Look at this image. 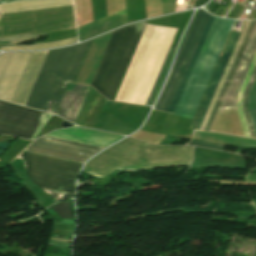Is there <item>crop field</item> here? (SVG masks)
I'll list each match as a JSON object with an SVG mask.
<instances>
[{"label": "crop field", "instance_id": "8a807250", "mask_svg": "<svg viewBox=\"0 0 256 256\" xmlns=\"http://www.w3.org/2000/svg\"><path fill=\"white\" fill-rule=\"evenodd\" d=\"M90 41L49 52L0 55V99L54 113L67 82L72 83Z\"/></svg>", "mask_w": 256, "mask_h": 256}, {"label": "crop field", "instance_id": "ac0d7876", "mask_svg": "<svg viewBox=\"0 0 256 256\" xmlns=\"http://www.w3.org/2000/svg\"><path fill=\"white\" fill-rule=\"evenodd\" d=\"M191 159L192 148L189 146H156L127 138L92 158L84 169L101 176L118 165L155 168L189 165ZM84 169L83 171L99 178ZM116 169L130 171L144 168L118 166L102 177L108 176Z\"/></svg>", "mask_w": 256, "mask_h": 256}, {"label": "crop field", "instance_id": "34b2d1b8", "mask_svg": "<svg viewBox=\"0 0 256 256\" xmlns=\"http://www.w3.org/2000/svg\"><path fill=\"white\" fill-rule=\"evenodd\" d=\"M176 30L146 26L115 100L145 104Z\"/></svg>", "mask_w": 256, "mask_h": 256}, {"label": "crop field", "instance_id": "412701ff", "mask_svg": "<svg viewBox=\"0 0 256 256\" xmlns=\"http://www.w3.org/2000/svg\"><path fill=\"white\" fill-rule=\"evenodd\" d=\"M234 21L215 18L174 115L192 118Z\"/></svg>", "mask_w": 256, "mask_h": 256}, {"label": "crop field", "instance_id": "f4fd0767", "mask_svg": "<svg viewBox=\"0 0 256 256\" xmlns=\"http://www.w3.org/2000/svg\"><path fill=\"white\" fill-rule=\"evenodd\" d=\"M147 21L115 31L91 84L113 100Z\"/></svg>", "mask_w": 256, "mask_h": 256}, {"label": "crop field", "instance_id": "dd49c442", "mask_svg": "<svg viewBox=\"0 0 256 256\" xmlns=\"http://www.w3.org/2000/svg\"><path fill=\"white\" fill-rule=\"evenodd\" d=\"M204 12H203V10H198L196 15H195V18L192 22L190 30L187 34V37L184 41V44L181 48V51L178 55V58H177L176 62H175L173 70H172V72L170 74V77L167 81V84H166V86H165V88H164L156 106H155V108H157V109H162V110L168 111L171 104H172V101H173V99L176 95V92L179 88V85H180V83L183 79V76H184V74L187 70V67H188V65L191 61V58H192V56L195 52V49H196V47L199 43V40L202 36V33H203V31L206 27V24H207V22L210 18V16L205 14ZM214 18L215 17L211 15V18H210V20L207 24V27H206V29L203 33V36L200 40V43H199V45L196 49V52H195V54L192 58V61L189 65L188 70H187V72L184 76V79H183V81L180 85V88L177 92V95H176V97L173 101V104H172V106L169 110V112H171V113H173L175 108H176V105L179 101V98H180L182 92H183V89L186 85V82L189 78V75L192 71V68H193L195 62H196V59L199 55V52L202 48V45L205 41V38H206V36L209 32V29L212 25V22H213Z\"/></svg>", "mask_w": 256, "mask_h": 256}, {"label": "crop field", "instance_id": "e52e79f7", "mask_svg": "<svg viewBox=\"0 0 256 256\" xmlns=\"http://www.w3.org/2000/svg\"><path fill=\"white\" fill-rule=\"evenodd\" d=\"M28 178L53 195L66 199L74 194L80 164L22 152Z\"/></svg>", "mask_w": 256, "mask_h": 256}, {"label": "crop field", "instance_id": "d8731c3e", "mask_svg": "<svg viewBox=\"0 0 256 256\" xmlns=\"http://www.w3.org/2000/svg\"><path fill=\"white\" fill-rule=\"evenodd\" d=\"M76 28L73 7L0 17V38Z\"/></svg>", "mask_w": 256, "mask_h": 256}, {"label": "crop field", "instance_id": "5a996713", "mask_svg": "<svg viewBox=\"0 0 256 256\" xmlns=\"http://www.w3.org/2000/svg\"><path fill=\"white\" fill-rule=\"evenodd\" d=\"M51 115L0 102V134L34 139Z\"/></svg>", "mask_w": 256, "mask_h": 256}, {"label": "crop field", "instance_id": "3316defc", "mask_svg": "<svg viewBox=\"0 0 256 256\" xmlns=\"http://www.w3.org/2000/svg\"><path fill=\"white\" fill-rule=\"evenodd\" d=\"M68 142L70 141L44 136L39 140H37L35 143L32 142L33 144L31 143L32 145L30 144L31 146L29 145L30 147L28 146L29 148H27L25 151L83 163L89 156L95 154L102 148V147L97 148V147L75 143V144L90 147L88 149L87 147L71 144L74 142H71V143H68ZM65 146L67 149L78 150L83 152H86L88 149V151L86 153H83L78 151L67 150V149H64Z\"/></svg>", "mask_w": 256, "mask_h": 256}, {"label": "crop field", "instance_id": "28ad6ade", "mask_svg": "<svg viewBox=\"0 0 256 256\" xmlns=\"http://www.w3.org/2000/svg\"><path fill=\"white\" fill-rule=\"evenodd\" d=\"M239 35L240 34H238V33H234V32L231 33V35L229 37V40H228V42L226 44V47H225V49L223 51V54H222V56L220 58V61H219L218 65H217V68H216V70L214 72V75H213V77L211 79V82H210V84L208 86V89H207V91L205 93V96H204V98L202 100V103H201V105L199 107V110H198V112L196 114V117H195V119L193 121V124H192L190 129H194V130H198L199 129V127L201 125V122H202V120L204 118V115H205V113H206V111L208 109V106H209L210 102H211V99H212V97L214 95V92H215V90L217 88V85H218V83H219V81L221 79V76H222V74L224 72V69H225V67L227 65V62H228V60L230 58V55H231V53H232V51L234 49V46H235V44L237 42V39H238Z\"/></svg>", "mask_w": 256, "mask_h": 256}, {"label": "crop field", "instance_id": "d1516ede", "mask_svg": "<svg viewBox=\"0 0 256 256\" xmlns=\"http://www.w3.org/2000/svg\"><path fill=\"white\" fill-rule=\"evenodd\" d=\"M48 136L73 140L77 142H82V143H87V144H92V145H97L102 147H106L111 143H113L114 141L122 138V136L102 133V132L78 128V127H71L67 129L57 130L48 134Z\"/></svg>", "mask_w": 256, "mask_h": 256}, {"label": "crop field", "instance_id": "22f410ed", "mask_svg": "<svg viewBox=\"0 0 256 256\" xmlns=\"http://www.w3.org/2000/svg\"><path fill=\"white\" fill-rule=\"evenodd\" d=\"M89 88L76 85L71 91L66 90L56 114L74 123Z\"/></svg>", "mask_w": 256, "mask_h": 256}, {"label": "crop field", "instance_id": "cbeb9de0", "mask_svg": "<svg viewBox=\"0 0 256 256\" xmlns=\"http://www.w3.org/2000/svg\"><path fill=\"white\" fill-rule=\"evenodd\" d=\"M255 48H256V28L219 111L236 107L235 106L236 92L246 72V69L249 65V62L252 58Z\"/></svg>", "mask_w": 256, "mask_h": 256}, {"label": "crop field", "instance_id": "5142ce71", "mask_svg": "<svg viewBox=\"0 0 256 256\" xmlns=\"http://www.w3.org/2000/svg\"><path fill=\"white\" fill-rule=\"evenodd\" d=\"M126 23H127L126 12L124 9L116 14H113L111 16L98 20L84 27H81V28L78 27L79 40L83 41L85 39H88L90 37H93L102 32H105L107 30H110L112 28H115L117 26H120Z\"/></svg>", "mask_w": 256, "mask_h": 256}, {"label": "crop field", "instance_id": "d9b57169", "mask_svg": "<svg viewBox=\"0 0 256 256\" xmlns=\"http://www.w3.org/2000/svg\"><path fill=\"white\" fill-rule=\"evenodd\" d=\"M255 26H256V21H252L250 26H249V29H248V31H247V33L245 35V38H244V40L242 42V45H241V47H240V49L238 51V54H237V56L235 58V61H234L233 65H232V67H231V70H230V72L228 74V77H227V79L225 81V84H224V86H223V88L221 90V93H220V95L218 97V100H217V102H216V104L214 106V109H213V111L211 113V116H210V118H209V120L207 122V125H206L204 130L209 131L211 126H212V124H213V121H214V119H215V117L217 115V112H218V110L220 108V105H221V103H222V101L224 99V96H225V94H226V92L228 90V87H229V85H230V83L232 81V78H233V76L235 74V71H236V69H237V67L239 65V62H240V60H241V58L243 56V53H244V51H245V49L247 47V44H248V42L250 40V37H251V35H252L253 31H254Z\"/></svg>", "mask_w": 256, "mask_h": 256}, {"label": "crop field", "instance_id": "733c2abd", "mask_svg": "<svg viewBox=\"0 0 256 256\" xmlns=\"http://www.w3.org/2000/svg\"><path fill=\"white\" fill-rule=\"evenodd\" d=\"M73 5V0H36L0 5V14Z\"/></svg>", "mask_w": 256, "mask_h": 256}, {"label": "crop field", "instance_id": "4a817a6b", "mask_svg": "<svg viewBox=\"0 0 256 256\" xmlns=\"http://www.w3.org/2000/svg\"><path fill=\"white\" fill-rule=\"evenodd\" d=\"M251 21H247L199 130H203Z\"/></svg>", "mask_w": 256, "mask_h": 256}, {"label": "crop field", "instance_id": "bc2a9ffb", "mask_svg": "<svg viewBox=\"0 0 256 256\" xmlns=\"http://www.w3.org/2000/svg\"><path fill=\"white\" fill-rule=\"evenodd\" d=\"M175 50L176 49H170L169 50V52H168V54L166 56V59H165V61L163 63V66H162V68H161V70L159 72V75H158V77L156 79V82H155V84H154V86L152 88V91H151V93L149 95V98H148V100H147L145 105L152 106V104H153V102H154V100H155V98H156V96L158 94V91H159V89H160V87H161V85H162V83H163V81H164V79L166 77V74L168 72V68H169V65H170V62L172 60V57L174 55Z\"/></svg>", "mask_w": 256, "mask_h": 256}, {"label": "crop field", "instance_id": "214f88e0", "mask_svg": "<svg viewBox=\"0 0 256 256\" xmlns=\"http://www.w3.org/2000/svg\"><path fill=\"white\" fill-rule=\"evenodd\" d=\"M77 38L73 39H67V40H62V41H57V42H51V43H46V44H40V45H32V46H18V47H1V51H6V50H18V49H40V48H50V47H59L63 45H68L72 43H76Z\"/></svg>", "mask_w": 256, "mask_h": 256}, {"label": "crop field", "instance_id": "92a150f3", "mask_svg": "<svg viewBox=\"0 0 256 256\" xmlns=\"http://www.w3.org/2000/svg\"><path fill=\"white\" fill-rule=\"evenodd\" d=\"M255 77H256V67H255V70H254V72H253V74L251 76V79H250L249 83H248V86H247V88H246V90L244 92L243 111H244L245 118H246L249 130H250L251 137L256 139V135H255V132H254V129H253V126H252V123H251L248 111H247L248 93H249V91L251 89V86H252V84L254 82Z\"/></svg>", "mask_w": 256, "mask_h": 256}, {"label": "crop field", "instance_id": "dafd665d", "mask_svg": "<svg viewBox=\"0 0 256 256\" xmlns=\"http://www.w3.org/2000/svg\"><path fill=\"white\" fill-rule=\"evenodd\" d=\"M248 111L256 132V79L249 93Z\"/></svg>", "mask_w": 256, "mask_h": 256}, {"label": "crop field", "instance_id": "00972430", "mask_svg": "<svg viewBox=\"0 0 256 256\" xmlns=\"http://www.w3.org/2000/svg\"><path fill=\"white\" fill-rule=\"evenodd\" d=\"M46 35V33L43 34H35V35H28V36H20V37H13V38H5L0 39V44L4 43H12V42H21V41H28L40 36Z\"/></svg>", "mask_w": 256, "mask_h": 256}, {"label": "crop field", "instance_id": "a9b5d70f", "mask_svg": "<svg viewBox=\"0 0 256 256\" xmlns=\"http://www.w3.org/2000/svg\"><path fill=\"white\" fill-rule=\"evenodd\" d=\"M189 145L224 151V147H222V146H216V145L205 144V143H200V142L191 141L189 143Z\"/></svg>", "mask_w": 256, "mask_h": 256}, {"label": "crop field", "instance_id": "4177f3b9", "mask_svg": "<svg viewBox=\"0 0 256 256\" xmlns=\"http://www.w3.org/2000/svg\"><path fill=\"white\" fill-rule=\"evenodd\" d=\"M223 145L232 146V147H241V148L255 149V148H252V147L240 146V145H235V144H231V143H224Z\"/></svg>", "mask_w": 256, "mask_h": 256}, {"label": "crop field", "instance_id": "730fd06b", "mask_svg": "<svg viewBox=\"0 0 256 256\" xmlns=\"http://www.w3.org/2000/svg\"><path fill=\"white\" fill-rule=\"evenodd\" d=\"M19 1H27V0H0V4L11 3V2H19Z\"/></svg>", "mask_w": 256, "mask_h": 256}]
</instances>
